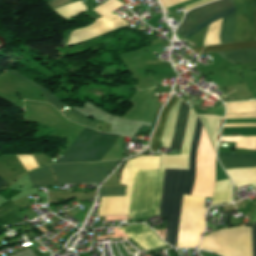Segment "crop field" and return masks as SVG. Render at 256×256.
I'll use <instances>...</instances> for the list:
<instances>
[{
  "label": "crop field",
  "mask_w": 256,
  "mask_h": 256,
  "mask_svg": "<svg viewBox=\"0 0 256 256\" xmlns=\"http://www.w3.org/2000/svg\"><path fill=\"white\" fill-rule=\"evenodd\" d=\"M121 160L50 166L57 184L102 182Z\"/></svg>",
  "instance_id": "crop-field-4"
},
{
  "label": "crop field",
  "mask_w": 256,
  "mask_h": 256,
  "mask_svg": "<svg viewBox=\"0 0 256 256\" xmlns=\"http://www.w3.org/2000/svg\"><path fill=\"white\" fill-rule=\"evenodd\" d=\"M197 115L202 120L208 132V135L213 143L214 149L216 151L217 144H218L217 136H218V131L220 127V122H221V119H223L224 117L212 116V115H200V114H197Z\"/></svg>",
  "instance_id": "crop-field-14"
},
{
  "label": "crop field",
  "mask_w": 256,
  "mask_h": 256,
  "mask_svg": "<svg viewBox=\"0 0 256 256\" xmlns=\"http://www.w3.org/2000/svg\"><path fill=\"white\" fill-rule=\"evenodd\" d=\"M160 157L140 156L125 163L121 183L127 185L126 196L101 198L98 215L128 214L135 169H156ZM164 169L136 170L129 216L159 214ZM188 170L165 169L160 215L167 219L165 241L176 247L183 192ZM205 198L184 195L178 248L195 247L205 226ZM131 218V219H132Z\"/></svg>",
  "instance_id": "crop-field-1"
},
{
  "label": "crop field",
  "mask_w": 256,
  "mask_h": 256,
  "mask_svg": "<svg viewBox=\"0 0 256 256\" xmlns=\"http://www.w3.org/2000/svg\"><path fill=\"white\" fill-rule=\"evenodd\" d=\"M250 47H256V41H254V42H239V43H231V44L208 46V47H205L203 52L230 50V49H240V48H250Z\"/></svg>",
  "instance_id": "crop-field-24"
},
{
  "label": "crop field",
  "mask_w": 256,
  "mask_h": 256,
  "mask_svg": "<svg viewBox=\"0 0 256 256\" xmlns=\"http://www.w3.org/2000/svg\"><path fill=\"white\" fill-rule=\"evenodd\" d=\"M255 38H256V14H255Z\"/></svg>",
  "instance_id": "crop-field-34"
},
{
  "label": "crop field",
  "mask_w": 256,
  "mask_h": 256,
  "mask_svg": "<svg viewBox=\"0 0 256 256\" xmlns=\"http://www.w3.org/2000/svg\"><path fill=\"white\" fill-rule=\"evenodd\" d=\"M224 169L238 167H253L256 166V158L248 157H218Z\"/></svg>",
  "instance_id": "crop-field-16"
},
{
  "label": "crop field",
  "mask_w": 256,
  "mask_h": 256,
  "mask_svg": "<svg viewBox=\"0 0 256 256\" xmlns=\"http://www.w3.org/2000/svg\"><path fill=\"white\" fill-rule=\"evenodd\" d=\"M235 12L224 17L220 42H233Z\"/></svg>",
  "instance_id": "crop-field-20"
},
{
  "label": "crop field",
  "mask_w": 256,
  "mask_h": 256,
  "mask_svg": "<svg viewBox=\"0 0 256 256\" xmlns=\"http://www.w3.org/2000/svg\"><path fill=\"white\" fill-rule=\"evenodd\" d=\"M233 0H220L200 8L190 10L184 17L177 33L181 36L211 17L233 7Z\"/></svg>",
  "instance_id": "crop-field-8"
},
{
  "label": "crop field",
  "mask_w": 256,
  "mask_h": 256,
  "mask_svg": "<svg viewBox=\"0 0 256 256\" xmlns=\"http://www.w3.org/2000/svg\"><path fill=\"white\" fill-rule=\"evenodd\" d=\"M180 102L181 101L178 99V101L176 102V104L173 106L170 113L168 114L166 127L161 140L163 147L170 148L177 110ZM188 115H189V106L181 102L178 110L171 148L181 149L183 139H184L186 124L188 120Z\"/></svg>",
  "instance_id": "crop-field-7"
},
{
  "label": "crop field",
  "mask_w": 256,
  "mask_h": 256,
  "mask_svg": "<svg viewBox=\"0 0 256 256\" xmlns=\"http://www.w3.org/2000/svg\"><path fill=\"white\" fill-rule=\"evenodd\" d=\"M231 202L230 179L218 181L215 184L212 204Z\"/></svg>",
  "instance_id": "crop-field-15"
},
{
  "label": "crop field",
  "mask_w": 256,
  "mask_h": 256,
  "mask_svg": "<svg viewBox=\"0 0 256 256\" xmlns=\"http://www.w3.org/2000/svg\"><path fill=\"white\" fill-rule=\"evenodd\" d=\"M65 116L77 123L83 124L85 126H90L92 128H95L97 125V123L90 122L88 119H86L85 116H83L81 113L77 112L74 109L70 111L68 114H66Z\"/></svg>",
  "instance_id": "crop-field-25"
},
{
  "label": "crop field",
  "mask_w": 256,
  "mask_h": 256,
  "mask_svg": "<svg viewBox=\"0 0 256 256\" xmlns=\"http://www.w3.org/2000/svg\"><path fill=\"white\" fill-rule=\"evenodd\" d=\"M125 195L124 187L100 188L99 197Z\"/></svg>",
  "instance_id": "crop-field-26"
},
{
  "label": "crop field",
  "mask_w": 256,
  "mask_h": 256,
  "mask_svg": "<svg viewBox=\"0 0 256 256\" xmlns=\"http://www.w3.org/2000/svg\"><path fill=\"white\" fill-rule=\"evenodd\" d=\"M221 140L236 142L235 148H246V149L256 150V137H254V138H232V139H221ZM218 156H249V157H256V151H255L254 155L218 153Z\"/></svg>",
  "instance_id": "crop-field-19"
},
{
  "label": "crop field",
  "mask_w": 256,
  "mask_h": 256,
  "mask_svg": "<svg viewBox=\"0 0 256 256\" xmlns=\"http://www.w3.org/2000/svg\"><path fill=\"white\" fill-rule=\"evenodd\" d=\"M221 21L222 19L210 24L207 30L204 46L211 45V44H220L219 36H220V29H221Z\"/></svg>",
  "instance_id": "crop-field-22"
},
{
  "label": "crop field",
  "mask_w": 256,
  "mask_h": 256,
  "mask_svg": "<svg viewBox=\"0 0 256 256\" xmlns=\"http://www.w3.org/2000/svg\"><path fill=\"white\" fill-rule=\"evenodd\" d=\"M86 9L87 8L81 3V1H79L55 10L61 15H63L65 18L69 19Z\"/></svg>",
  "instance_id": "crop-field-23"
},
{
  "label": "crop field",
  "mask_w": 256,
  "mask_h": 256,
  "mask_svg": "<svg viewBox=\"0 0 256 256\" xmlns=\"http://www.w3.org/2000/svg\"><path fill=\"white\" fill-rule=\"evenodd\" d=\"M252 225L253 256H256V223ZM251 227L238 226L204 236L199 248L221 256H252Z\"/></svg>",
  "instance_id": "crop-field-2"
},
{
  "label": "crop field",
  "mask_w": 256,
  "mask_h": 256,
  "mask_svg": "<svg viewBox=\"0 0 256 256\" xmlns=\"http://www.w3.org/2000/svg\"><path fill=\"white\" fill-rule=\"evenodd\" d=\"M202 49H203V47H202V48L193 49V51L198 55V53H199Z\"/></svg>",
  "instance_id": "crop-field-33"
},
{
  "label": "crop field",
  "mask_w": 256,
  "mask_h": 256,
  "mask_svg": "<svg viewBox=\"0 0 256 256\" xmlns=\"http://www.w3.org/2000/svg\"><path fill=\"white\" fill-rule=\"evenodd\" d=\"M236 9V27L234 32V42L244 40H255L254 38V14L256 7V0H234ZM234 7L211 18L185 35L181 36L184 39L199 31L210 23L214 22L218 18L232 13L235 11Z\"/></svg>",
  "instance_id": "crop-field-6"
},
{
  "label": "crop field",
  "mask_w": 256,
  "mask_h": 256,
  "mask_svg": "<svg viewBox=\"0 0 256 256\" xmlns=\"http://www.w3.org/2000/svg\"><path fill=\"white\" fill-rule=\"evenodd\" d=\"M147 251L166 245L156 233L143 224H132L118 227Z\"/></svg>",
  "instance_id": "crop-field-10"
},
{
  "label": "crop field",
  "mask_w": 256,
  "mask_h": 256,
  "mask_svg": "<svg viewBox=\"0 0 256 256\" xmlns=\"http://www.w3.org/2000/svg\"><path fill=\"white\" fill-rule=\"evenodd\" d=\"M6 185H8L4 180H2L1 178H0V188H2V187H4V186H6Z\"/></svg>",
  "instance_id": "crop-field-32"
},
{
  "label": "crop field",
  "mask_w": 256,
  "mask_h": 256,
  "mask_svg": "<svg viewBox=\"0 0 256 256\" xmlns=\"http://www.w3.org/2000/svg\"><path fill=\"white\" fill-rule=\"evenodd\" d=\"M251 222H256V216H255V218Z\"/></svg>",
  "instance_id": "crop-field-35"
},
{
  "label": "crop field",
  "mask_w": 256,
  "mask_h": 256,
  "mask_svg": "<svg viewBox=\"0 0 256 256\" xmlns=\"http://www.w3.org/2000/svg\"><path fill=\"white\" fill-rule=\"evenodd\" d=\"M201 129H202V125L197 117L196 128L194 131V138L192 141L191 151H190L188 183L184 192V194H187V195L191 194L192 187H193L194 175H195V160H196L197 146L199 142Z\"/></svg>",
  "instance_id": "crop-field-11"
},
{
  "label": "crop field",
  "mask_w": 256,
  "mask_h": 256,
  "mask_svg": "<svg viewBox=\"0 0 256 256\" xmlns=\"http://www.w3.org/2000/svg\"><path fill=\"white\" fill-rule=\"evenodd\" d=\"M78 0H50L48 3L52 8L59 7L65 4H69Z\"/></svg>",
  "instance_id": "crop-field-28"
},
{
  "label": "crop field",
  "mask_w": 256,
  "mask_h": 256,
  "mask_svg": "<svg viewBox=\"0 0 256 256\" xmlns=\"http://www.w3.org/2000/svg\"><path fill=\"white\" fill-rule=\"evenodd\" d=\"M249 184H252L253 188H256V181L246 182V183H238V184H235V186H236V188H238V187H242V186L249 185Z\"/></svg>",
  "instance_id": "crop-field-30"
},
{
  "label": "crop field",
  "mask_w": 256,
  "mask_h": 256,
  "mask_svg": "<svg viewBox=\"0 0 256 256\" xmlns=\"http://www.w3.org/2000/svg\"><path fill=\"white\" fill-rule=\"evenodd\" d=\"M30 180L35 185H56L54 177L49 169V167L34 171L28 174Z\"/></svg>",
  "instance_id": "crop-field-18"
},
{
  "label": "crop field",
  "mask_w": 256,
  "mask_h": 256,
  "mask_svg": "<svg viewBox=\"0 0 256 256\" xmlns=\"http://www.w3.org/2000/svg\"><path fill=\"white\" fill-rule=\"evenodd\" d=\"M17 157L27 171L38 167L32 155H17Z\"/></svg>",
  "instance_id": "crop-field-27"
},
{
  "label": "crop field",
  "mask_w": 256,
  "mask_h": 256,
  "mask_svg": "<svg viewBox=\"0 0 256 256\" xmlns=\"http://www.w3.org/2000/svg\"><path fill=\"white\" fill-rule=\"evenodd\" d=\"M122 5L124 4L118 0H108L103 5L93 9L103 17L97 19L95 24L85 29L73 31L69 45L108 33L120 26H130L123 19L112 12Z\"/></svg>",
  "instance_id": "crop-field-5"
},
{
  "label": "crop field",
  "mask_w": 256,
  "mask_h": 256,
  "mask_svg": "<svg viewBox=\"0 0 256 256\" xmlns=\"http://www.w3.org/2000/svg\"><path fill=\"white\" fill-rule=\"evenodd\" d=\"M233 183L256 180V167L226 170Z\"/></svg>",
  "instance_id": "crop-field-17"
},
{
  "label": "crop field",
  "mask_w": 256,
  "mask_h": 256,
  "mask_svg": "<svg viewBox=\"0 0 256 256\" xmlns=\"http://www.w3.org/2000/svg\"><path fill=\"white\" fill-rule=\"evenodd\" d=\"M119 137L86 127L57 163L100 161Z\"/></svg>",
  "instance_id": "crop-field-3"
},
{
  "label": "crop field",
  "mask_w": 256,
  "mask_h": 256,
  "mask_svg": "<svg viewBox=\"0 0 256 256\" xmlns=\"http://www.w3.org/2000/svg\"><path fill=\"white\" fill-rule=\"evenodd\" d=\"M7 72L11 73L12 75H14L16 77L23 79L24 81L36 86L37 88L41 89L44 93L45 98L50 102V104H53L59 111H61L62 109H64L66 107V105H64V103H62L53 93L45 90L43 87H41L37 83L29 81L30 79L28 80V79L24 78L23 76H21L14 70H8Z\"/></svg>",
  "instance_id": "crop-field-21"
},
{
  "label": "crop field",
  "mask_w": 256,
  "mask_h": 256,
  "mask_svg": "<svg viewBox=\"0 0 256 256\" xmlns=\"http://www.w3.org/2000/svg\"><path fill=\"white\" fill-rule=\"evenodd\" d=\"M177 99L178 98L176 97V95L173 94L171 99L168 101V103L163 108V110H162V112L160 114L158 126H157V128H156V130L154 132L153 138L151 140V151L157 152L158 146H159V142H160V138H161L163 129L165 127L167 114L169 113L170 109L172 108L174 103L177 101Z\"/></svg>",
  "instance_id": "crop-field-12"
},
{
  "label": "crop field",
  "mask_w": 256,
  "mask_h": 256,
  "mask_svg": "<svg viewBox=\"0 0 256 256\" xmlns=\"http://www.w3.org/2000/svg\"><path fill=\"white\" fill-rule=\"evenodd\" d=\"M256 215V207L255 209L250 213V215L247 217L250 219V221L254 218V216Z\"/></svg>",
  "instance_id": "crop-field-31"
},
{
  "label": "crop field",
  "mask_w": 256,
  "mask_h": 256,
  "mask_svg": "<svg viewBox=\"0 0 256 256\" xmlns=\"http://www.w3.org/2000/svg\"><path fill=\"white\" fill-rule=\"evenodd\" d=\"M196 115L190 108V115L188 125L186 129L185 139L181 155H163L161 154V161L159 168H184L188 169V158L192 139V133L194 129Z\"/></svg>",
  "instance_id": "crop-field-9"
},
{
  "label": "crop field",
  "mask_w": 256,
  "mask_h": 256,
  "mask_svg": "<svg viewBox=\"0 0 256 256\" xmlns=\"http://www.w3.org/2000/svg\"><path fill=\"white\" fill-rule=\"evenodd\" d=\"M235 64L256 61V48L217 52Z\"/></svg>",
  "instance_id": "crop-field-13"
},
{
  "label": "crop field",
  "mask_w": 256,
  "mask_h": 256,
  "mask_svg": "<svg viewBox=\"0 0 256 256\" xmlns=\"http://www.w3.org/2000/svg\"><path fill=\"white\" fill-rule=\"evenodd\" d=\"M209 1H212V0H200V1H198V2H195V3H193V4L189 5V6H187V7H186V11L189 10V9H191V8H193V7L199 6V5L203 4V3L209 2Z\"/></svg>",
  "instance_id": "crop-field-29"
}]
</instances>
